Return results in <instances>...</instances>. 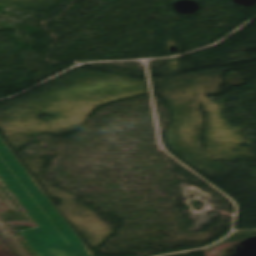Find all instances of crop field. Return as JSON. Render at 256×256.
<instances>
[{"instance_id":"1","label":"crop field","mask_w":256,"mask_h":256,"mask_svg":"<svg viewBox=\"0 0 256 256\" xmlns=\"http://www.w3.org/2000/svg\"><path fill=\"white\" fill-rule=\"evenodd\" d=\"M0 176L40 226L21 232L40 256H92L1 138Z\"/></svg>"}]
</instances>
